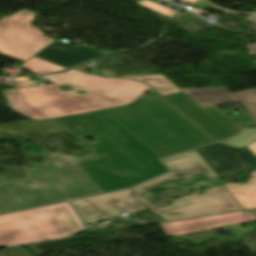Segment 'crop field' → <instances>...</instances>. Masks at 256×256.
Instances as JSON below:
<instances>
[{
	"instance_id": "obj_1",
	"label": "crop field",
	"mask_w": 256,
	"mask_h": 256,
	"mask_svg": "<svg viewBox=\"0 0 256 256\" xmlns=\"http://www.w3.org/2000/svg\"><path fill=\"white\" fill-rule=\"evenodd\" d=\"M56 119L99 156L78 164L102 192L127 188L167 172L159 157L106 115ZM86 136L98 142L87 143Z\"/></svg>"
},
{
	"instance_id": "obj_2",
	"label": "crop field",
	"mask_w": 256,
	"mask_h": 256,
	"mask_svg": "<svg viewBox=\"0 0 256 256\" xmlns=\"http://www.w3.org/2000/svg\"><path fill=\"white\" fill-rule=\"evenodd\" d=\"M42 77L56 84L2 91L13 110L33 120L46 119L128 104L151 89L134 80L101 78L74 69ZM65 84L74 90H59ZM79 90L88 93L79 95Z\"/></svg>"
},
{
	"instance_id": "obj_3",
	"label": "crop field",
	"mask_w": 256,
	"mask_h": 256,
	"mask_svg": "<svg viewBox=\"0 0 256 256\" xmlns=\"http://www.w3.org/2000/svg\"><path fill=\"white\" fill-rule=\"evenodd\" d=\"M107 115L160 158L214 143L158 93L134 107Z\"/></svg>"
},
{
	"instance_id": "obj_4",
	"label": "crop field",
	"mask_w": 256,
	"mask_h": 256,
	"mask_svg": "<svg viewBox=\"0 0 256 256\" xmlns=\"http://www.w3.org/2000/svg\"><path fill=\"white\" fill-rule=\"evenodd\" d=\"M50 157L45 166L28 171V180H0V214L101 192L70 157Z\"/></svg>"
},
{
	"instance_id": "obj_5",
	"label": "crop field",
	"mask_w": 256,
	"mask_h": 256,
	"mask_svg": "<svg viewBox=\"0 0 256 256\" xmlns=\"http://www.w3.org/2000/svg\"><path fill=\"white\" fill-rule=\"evenodd\" d=\"M85 227L69 202L0 216V247L76 234Z\"/></svg>"
},
{
	"instance_id": "obj_6",
	"label": "crop field",
	"mask_w": 256,
	"mask_h": 256,
	"mask_svg": "<svg viewBox=\"0 0 256 256\" xmlns=\"http://www.w3.org/2000/svg\"><path fill=\"white\" fill-rule=\"evenodd\" d=\"M35 16L33 11L22 10L0 21V53L26 62L55 41L31 26Z\"/></svg>"
},
{
	"instance_id": "obj_7",
	"label": "crop field",
	"mask_w": 256,
	"mask_h": 256,
	"mask_svg": "<svg viewBox=\"0 0 256 256\" xmlns=\"http://www.w3.org/2000/svg\"><path fill=\"white\" fill-rule=\"evenodd\" d=\"M255 216L248 212H235L177 222L161 224L166 235H172L184 240H190L195 243L202 242L211 238H218L223 241L236 242L244 235L249 234L252 230L256 231L255 227L248 226L242 229L239 223L254 221ZM223 226L224 230L233 232L236 239H227L216 237L213 230Z\"/></svg>"
},
{
	"instance_id": "obj_8",
	"label": "crop field",
	"mask_w": 256,
	"mask_h": 256,
	"mask_svg": "<svg viewBox=\"0 0 256 256\" xmlns=\"http://www.w3.org/2000/svg\"><path fill=\"white\" fill-rule=\"evenodd\" d=\"M224 185L205 190L203 195H188L172 202L171 206L150 211L167 221L189 217L242 210Z\"/></svg>"
},
{
	"instance_id": "obj_9",
	"label": "crop field",
	"mask_w": 256,
	"mask_h": 256,
	"mask_svg": "<svg viewBox=\"0 0 256 256\" xmlns=\"http://www.w3.org/2000/svg\"><path fill=\"white\" fill-rule=\"evenodd\" d=\"M72 203L85 223H95L107 217L118 216L122 212L134 213L155 208L131 189L75 200Z\"/></svg>"
},
{
	"instance_id": "obj_10",
	"label": "crop field",
	"mask_w": 256,
	"mask_h": 256,
	"mask_svg": "<svg viewBox=\"0 0 256 256\" xmlns=\"http://www.w3.org/2000/svg\"><path fill=\"white\" fill-rule=\"evenodd\" d=\"M164 99L216 141L227 139L242 130L215 106L202 109L183 92L166 96Z\"/></svg>"
},
{
	"instance_id": "obj_11",
	"label": "crop field",
	"mask_w": 256,
	"mask_h": 256,
	"mask_svg": "<svg viewBox=\"0 0 256 256\" xmlns=\"http://www.w3.org/2000/svg\"><path fill=\"white\" fill-rule=\"evenodd\" d=\"M197 151L219 177L256 170V158L247 148L237 150L216 144Z\"/></svg>"
},
{
	"instance_id": "obj_12",
	"label": "crop field",
	"mask_w": 256,
	"mask_h": 256,
	"mask_svg": "<svg viewBox=\"0 0 256 256\" xmlns=\"http://www.w3.org/2000/svg\"><path fill=\"white\" fill-rule=\"evenodd\" d=\"M248 28L256 31V25ZM250 54L256 53V44L248 46ZM256 67V62H254ZM202 108L238 101L248 114L256 121V89L230 94L224 87L182 89ZM205 103L206 105H203Z\"/></svg>"
},
{
	"instance_id": "obj_13",
	"label": "crop field",
	"mask_w": 256,
	"mask_h": 256,
	"mask_svg": "<svg viewBox=\"0 0 256 256\" xmlns=\"http://www.w3.org/2000/svg\"><path fill=\"white\" fill-rule=\"evenodd\" d=\"M163 161L168 165L172 172L134 188L140 192H143L175 179L183 178L185 180H193L190 175L200 172H203L208 179L218 177L196 150L167 158Z\"/></svg>"
},
{
	"instance_id": "obj_14",
	"label": "crop field",
	"mask_w": 256,
	"mask_h": 256,
	"mask_svg": "<svg viewBox=\"0 0 256 256\" xmlns=\"http://www.w3.org/2000/svg\"><path fill=\"white\" fill-rule=\"evenodd\" d=\"M102 54L105 53L90 47H71L55 41L36 56L70 68L77 63L84 62Z\"/></svg>"
},
{
	"instance_id": "obj_15",
	"label": "crop field",
	"mask_w": 256,
	"mask_h": 256,
	"mask_svg": "<svg viewBox=\"0 0 256 256\" xmlns=\"http://www.w3.org/2000/svg\"><path fill=\"white\" fill-rule=\"evenodd\" d=\"M250 175L252 179L245 184L230 183L225 185L244 209L256 208V171Z\"/></svg>"
},
{
	"instance_id": "obj_16",
	"label": "crop field",
	"mask_w": 256,
	"mask_h": 256,
	"mask_svg": "<svg viewBox=\"0 0 256 256\" xmlns=\"http://www.w3.org/2000/svg\"><path fill=\"white\" fill-rule=\"evenodd\" d=\"M126 78L137 79L152 86L162 96L181 92L172 82H170L163 75H149V76H121Z\"/></svg>"
},
{
	"instance_id": "obj_17",
	"label": "crop field",
	"mask_w": 256,
	"mask_h": 256,
	"mask_svg": "<svg viewBox=\"0 0 256 256\" xmlns=\"http://www.w3.org/2000/svg\"><path fill=\"white\" fill-rule=\"evenodd\" d=\"M178 23H184L185 27L193 32L203 31L213 25L209 24L199 16L192 14L188 11L174 18Z\"/></svg>"
},
{
	"instance_id": "obj_18",
	"label": "crop field",
	"mask_w": 256,
	"mask_h": 256,
	"mask_svg": "<svg viewBox=\"0 0 256 256\" xmlns=\"http://www.w3.org/2000/svg\"><path fill=\"white\" fill-rule=\"evenodd\" d=\"M21 67L35 73H49V72H59L66 68L60 67L58 65L43 61L41 59L33 57L28 62L23 64ZM67 70V69H66Z\"/></svg>"
},
{
	"instance_id": "obj_19",
	"label": "crop field",
	"mask_w": 256,
	"mask_h": 256,
	"mask_svg": "<svg viewBox=\"0 0 256 256\" xmlns=\"http://www.w3.org/2000/svg\"><path fill=\"white\" fill-rule=\"evenodd\" d=\"M256 139V129L248 130V131H243L240 134L223 141L221 143L230 145L233 147H240L243 146L253 140Z\"/></svg>"
},
{
	"instance_id": "obj_20",
	"label": "crop field",
	"mask_w": 256,
	"mask_h": 256,
	"mask_svg": "<svg viewBox=\"0 0 256 256\" xmlns=\"http://www.w3.org/2000/svg\"><path fill=\"white\" fill-rule=\"evenodd\" d=\"M138 4L141 5V6H144L146 8H149L151 10H154L156 12H159L161 14H164L166 16H169V17H171V16H173V15L178 13L176 11H173V10H171L169 8H166L164 6H161V5L157 4V3H154V2L149 1V0H142V1L138 2Z\"/></svg>"
},
{
	"instance_id": "obj_21",
	"label": "crop field",
	"mask_w": 256,
	"mask_h": 256,
	"mask_svg": "<svg viewBox=\"0 0 256 256\" xmlns=\"http://www.w3.org/2000/svg\"><path fill=\"white\" fill-rule=\"evenodd\" d=\"M196 6H199V7L203 8V9L211 7V5H209L206 2H200V3L194 4V5L190 6V7L193 8V7H196Z\"/></svg>"
},
{
	"instance_id": "obj_22",
	"label": "crop field",
	"mask_w": 256,
	"mask_h": 256,
	"mask_svg": "<svg viewBox=\"0 0 256 256\" xmlns=\"http://www.w3.org/2000/svg\"><path fill=\"white\" fill-rule=\"evenodd\" d=\"M247 148L256 156V142L250 144Z\"/></svg>"
},
{
	"instance_id": "obj_23",
	"label": "crop field",
	"mask_w": 256,
	"mask_h": 256,
	"mask_svg": "<svg viewBox=\"0 0 256 256\" xmlns=\"http://www.w3.org/2000/svg\"><path fill=\"white\" fill-rule=\"evenodd\" d=\"M246 20L256 23V14L250 16V17L247 18Z\"/></svg>"
},
{
	"instance_id": "obj_24",
	"label": "crop field",
	"mask_w": 256,
	"mask_h": 256,
	"mask_svg": "<svg viewBox=\"0 0 256 256\" xmlns=\"http://www.w3.org/2000/svg\"><path fill=\"white\" fill-rule=\"evenodd\" d=\"M168 1H173V0H168ZM184 1H186V2H188V3H190V4H192V3L197 2V1H199V0H184Z\"/></svg>"
},
{
	"instance_id": "obj_25",
	"label": "crop field",
	"mask_w": 256,
	"mask_h": 256,
	"mask_svg": "<svg viewBox=\"0 0 256 256\" xmlns=\"http://www.w3.org/2000/svg\"><path fill=\"white\" fill-rule=\"evenodd\" d=\"M250 212H252V213H255V214H256V211H250Z\"/></svg>"
}]
</instances>
